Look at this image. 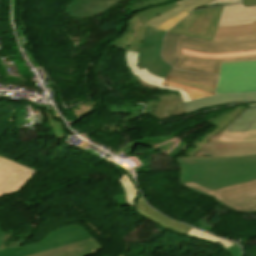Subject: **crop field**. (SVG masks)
Segmentation results:
<instances>
[{
  "instance_id": "25",
  "label": "crop field",
  "mask_w": 256,
  "mask_h": 256,
  "mask_svg": "<svg viewBox=\"0 0 256 256\" xmlns=\"http://www.w3.org/2000/svg\"><path fill=\"white\" fill-rule=\"evenodd\" d=\"M220 140L245 141L256 140V130L249 132H223Z\"/></svg>"
},
{
  "instance_id": "4",
  "label": "crop field",
  "mask_w": 256,
  "mask_h": 256,
  "mask_svg": "<svg viewBox=\"0 0 256 256\" xmlns=\"http://www.w3.org/2000/svg\"><path fill=\"white\" fill-rule=\"evenodd\" d=\"M256 92V61L222 63L217 94Z\"/></svg>"
},
{
  "instance_id": "8",
  "label": "crop field",
  "mask_w": 256,
  "mask_h": 256,
  "mask_svg": "<svg viewBox=\"0 0 256 256\" xmlns=\"http://www.w3.org/2000/svg\"><path fill=\"white\" fill-rule=\"evenodd\" d=\"M221 134L222 132L209 140L205 146L193 156H239L256 154V141H218Z\"/></svg>"
},
{
  "instance_id": "28",
  "label": "crop field",
  "mask_w": 256,
  "mask_h": 256,
  "mask_svg": "<svg viewBox=\"0 0 256 256\" xmlns=\"http://www.w3.org/2000/svg\"><path fill=\"white\" fill-rule=\"evenodd\" d=\"M213 0H181L175 2L177 5H179L181 8H183L187 12H191L196 10L197 8L211 2Z\"/></svg>"
},
{
  "instance_id": "19",
  "label": "crop field",
  "mask_w": 256,
  "mask_h": 256,
  "mask_svg": "<svg viewBox=\"0 0 256 256\" xmlns=\"http://www.w3.org/2000/svg\"><path fill=\"white\" fill-rule=\"evenodd\" d=\"M256 33V22L254 24L239 25L234 27H218L213 38L239 36Z\"/></svg>"
},
{
  "instance_id": "17",
  "label": "crop field",
  "mask_w": 256,
  "mask_h": 256,
  "mask_svg": "<svg viewBox=\"0 0 256 256\" xmlns=\"http://www.w3.org/2000/svg\"><path fill=\"white\" fill-rule=\"evenodd\" d=\"M179 37L180 35L168 32L165 37L163 51H162L163 59L174 67L180 59L176 54V47H177Z\"/></svg>"
},
{
  "instance_id": "40",
  "label": "crop field",
  "mask_w": 256,
  "mask_h": 256,
  "mask_svg": "<svg viewBox=\"0 0 256 256\" xmlns=\"http://www.w3.org/2000/svg\"><path fill=\"white\" fill-rule=\"evenodd\" d=\"M17 29V33H18V38L21 44V47H25L24 43L21 41V39L26 38L25 35L22 33L20 27H15ZM27 39V38H26Z\"/></svg>"
},
{
  "instance_id": "37",
  "label": "crop field",
  "mask_w": 256,
  "mask_h": 256,
  "mask_svg": "<svg viewBox=\"0 0 256 256\" xmlns=\"http://www.w3.org/2000/svg\"><path fill=\"white\" fill-rule=\"evenodd\" d=\"M141 71H142V73L144 74L145 77H147L148 79H150V80H152V81H155V82H157V83H159V84H161V82L164 80V79L157 78V77L151 75V74L148 73L145 69H142Z\"/></svg>"
},
{
  "instance_id": "36",
  "label": "crop field",
  "mask_w": 256,
  "mask_h": 256,
  "mask_svg": "<svg viewBox=\"0 0 256 256\" xmlns=\"http://www.w3.org/2000/svg\"><path fill=\"white\" fill-rule=\"evenodd\" d=\"M228 250L230 251L232 256H242L241 249L237 244L231 246L230 248H228Z\"/></svg>"
},
{
  "instance_id": "26",
  "label": "crop field",
  "mask_w": 256,
  "mask_h": 256,
  "mask_svg": "<svg viewBox=\"0 0 256 256\" xmlns=\"http://www.w3.org/2000/svg\"><path fill=\"white\" fill-rule=\"evenodd\" d=\"M166 81L174 82V83H177V84H181V85H184V86L196 88V89L214 94L215 87H213V86L200 84V83H196V82H191V81H187V80H183V79H178V78H174V77H170V76L166 77Z\"/></svg>"
},
{
  "instance_id": "16",
  "label": "crop field",
  "mask_w": 256,
  "mask_h": 256,
  "mask_svg": "<svg viewBox=\"0 0 256 256\" xmlns=\"http://www.w3.org/2000/svg\"><path fill=\"white\" fill-rule=\"evenodd\" d=\"M137 56H138V53H136V52L126 51V56H125L126 64H127L128 68H131V70L134 73V75H138L140 79H142L143 81H145L148 84L157 85V86H160V88H166V89H170V90L179 91L180 95L182 96L183 102L190 101V98L185 93V91L173 88L171 86L159 85V84H157L155 82H152V81L146 79L143 76V74L140 72L139 68H138Z\"/></svg>"
},
{
  "instance_id": "23",
  "label": "crop field",
  "mask_w": 256,
  "mask_h": 256,
  "mask_svg": "<svg viewBox=\"0 0 256 256\" xmlns=\"http://www.w3.org/2000/svg\"><path fill=\"white\" fill-rule=\"evenodd\" d=\"M174 1H176V0H141L139 2L133 3V4L128 5V6H125L122 9L123 10L130 9L134 13H136L140 10H144V9H148V8H152V7H156V6H160V5H164V4H168V3H171V2H174Z\"/></svg>"
},
{
  "instance_id": "12",
  "label": "crop field",
  "mask_w": 256,
  "mask_h": 256,
  "mask_svg": "<svg viewBox=\"0 0 256 256\" xmlns=\"http://www.w3.org/2000/svg\"><path fill=\"white\" fill-rule=\"evenodd\" d=\"M256 100L255 94H235V95H222V96H213L208 97L192 102L183 103L185 112L195 111L198 108H203L212 105L239 102V101H250Z\"/></svg>"
},
{
  "instance_id": "35",
  "label": "crop field",
  "mask_w": 256,
  "mask_h": 256,
  "mask_svg": "<svg viewBox=\"0 0 256 256\" xmlns=\"http://www.w3.org/2000/svg\"><path fill=\"white\" fill-rule=\"evenodd\" d=\"M143 107L144 106H142V108H139L138 110H134V111H129V109H126V108H124V109H112L110 111H112L114 114L115 113H120V114L132 113L133 116L127 117V118H123L122 120H118V121H128V120L136 119L135 117L140 114V112L142 111ZM118 121H116V122H118Z\"/></svg>"
},
{
  "instance_id": "44",
  "label": "crop field",
  "mask_w": 256,
  "mask_h": 256,
  "mask_svg": "<svg viewBox=\"0 0 256 256\" xmlns=\"http://www.w3.org/2000/svg\"><path fill=\"white\" fill-rule=\"evenodd\" d=\"M102 129H104V130H106V131H114V130H121V129H123V127L121 126V127H119V128H112V127H107V128H105V127H103Z\"/></svg>"
},
{
  "instance_id": "11",
  "label": "crop field",
  "mask_w": 256,
  "mask_h": 256,
  "mask_svg": "<svg viewBox=\"0 0 256 256\" xmlns=\"http://www.w3.org/2000/svg\"><path fill=\"white\" fill-rule=\"evenodd\" d=\"M256 21V6L244 7L243 3L225 6L218 26H234Z\"/></svg>"
},
{
  "instance_id": "33",
  "label": "crop field",
  "mask_w": 256,
  "mask_h": 256,
  "mask_svg": "<svg viewBox=\"0 0 256 256\" xmlns=\"http://www.w3.org/2000/svg\"><path fill=\"white\" fill-rule=\"evenodd\" d=\"M201 239H206L208 241H212V242H214V243H216V244H218V245H220V246H222L224 248H228L229 246L235 244V243L228 242V241H225L223 239H220V238H218L216 236H213L211 234H208L206 232L204 233V235H203V237Z\"/></svg>"
},
{
  "instance_id": "20",
  "label": "crop field",
  "mask_w": 256,
  "mask_h": 256,
  "mask_svg": "<svg viewBox=\"0 0 256 256\" xmlns=\"http://www.w3.org/2000/svg\"><path fill=\"white\" fill-rule=\"evenodd\" d=\"M139 26H141V23L136 17V15L132 16L128 23V28L126 32L111 46L127 49L130 43L135 39Z\"/></svg>"
},
{
  "instance_id": "13",
  "label": "crop field",
  "mask_w": 256,
  "mask_h": 256,
  "mask_svg": "<svg viewBox=\"0 0 256 256\" xmlns=\"http://www.w3.org/2000/svg\"><path fill=\"white\" fill-rule=\"evenodd\" d=\"M245 108H247V106L238 107V110H234L230 113L223 115L218 119L211 121L210 123L216 126L217 128L213 130L211 133H206L203 139H198L197 143L194 145V148L190 149L187 153H185V156H192L197 151H199L210 138H212L218 132L223 130L226 127V125H228L233 119H235L239 114H241Z\"/></svg>"
},
{
  "instance_id": "41",
  "label": "crop field",
  "mask_w": 256,
  "mask_h": 256,
  "mask_svg": "<svg viewBox=\"0 0 256 256\" xmlns=\"http://www.w3.org/2000/svg\"><path fill=\"white\" fill-rule=\"evenodd\" d=\"M28 58L30 59V61L34 64L35 67H38L35 56L33 54H29V52L27 50H25Z\"/></svg>"
},
{
  "instance_id": "43",
  "label": "crop field",
  "mask_w": 256,
  "mask_h": 256,
  "mask_svg": "<svg viewBox=\"0 0 256 256\" xmlns=\"http://www.w3.org/2000/svg\"><path fill=\"white\" fill-rule=\"evenodd\" d=\"M12 6H13V21L15 23V19H16V0H12Z\"/></svg>"
},
{
  "instance_id": "30",
  "label": "crop field",
  "mask_w": 256,
  "mask_h": 256,
  "mask_svg": "<svg viewBox=\"0 0 256 256\" xmlns=\"http://www.w3.org/2000/svg\"><path fill=\"white\" fill-rule=\"evenodd\" d=\"M46 113V112H45ZM47 117H48V123H49V126L52 127L53 131H54V135L63 140V137H64V132H63V129H62V126L60 123L56 122L55 120H53L52 116H50L49 114H47Z\"/></svg>"
},
{
  "instance_id": "45",
  "label": "crop field",
  "mask_w": 256,
  "mask_h": 256,
  "mask_svg": "<svg viewBox=\"0 0 256 256\" xmlns=\"http://www.w3.org/2000/svg\"><path fill=\"white\" fill-rule=\"evenodd\" d=\"M90 144H88L87 142H83V143H81L78 147H80V148H82L83 150L87 147V146H89Z\"/></svg>"
},
{
  "instance_id": "24",
  "label": "crop field",
  "mask_w": 256,
  "mask_h": 256,
  "mask_svg": "<svg viewBox=\"0 0 256 256\" xmlns=\"http://www.w3.org/2000/svg\"><path fill=\"white\" fill-rule=\"evenodd\" d=\"M175 6H177V5L175 3H173L170 5H166V6L149 9V10L138 13L137 17L139 18V20L141 21L142 24H145L149 20H151L153 17L170 10V9L174 8Z\"/></svg>"
},
{
  "instance_id": "9",
  "label": "crop field",
  "mask_w": 256,
  "mask_h": 256,
  "mask_svg": "<svg viewBox=\"0 0 256 256\" xmlns=\"http://www.w3.org/2000/svg\"><path fill=\"white\" fill-rule=\"evenodd\" d=\"M134 78L140 82L141 86L150 89L159 88L157 86L146 84L145 82L137 78V76H135ZM175 93L176 92L173 91L172 93H168L165 95H152L159 98V100L148 102L147 109L144 111L143 114H149L159 119H166L176 115L185 114L181 101V96L179 94L176 95Z\"/></svg>"
},
{
  "instance_id": "38",
  "label": "crop field",
  "mask_w": 256,
  "mask_h": 256,
  "mask_svg": "<svg viewBox=\"0 0 256 256\" xmlns=\"http://www.w3.org/2000/svg\"><path fill=\"white\" fill-rule=\"evenodd\" d=\"M238 2H240V0H215V1L207 4L206 6H208V5H216V4H223V3L233 4V3H238Z\"/></svg>"
},
{
  "instance_id": "32",
  "label": "crop field",
  "mask_w": 256,
  "mask_h": 256,
  "mask_svg": "<svg viewBox=\"0 0 256 256\" xmlns=\"http://www.w3.org/2000/svg\"><path fill=\"white\" fill-rule=\"evenodd\" d=\"M96 103L93 102L89 105H83V106H78L74 109H72V111L74 112L75 114V117L78 119L79 117L83 116L84 114L90 112L92 109H94L96 107Z\"/></svg>"
},
{
  "instance_id": "7",
  "label": "crop field",
  "mask_w": 256,
  "mask_h": 256,
  "mask_svg": "<svg viewBox=\"0 0 256 256\" xmlns=\"http://www.w3.org/2000/svg\"><path fill=\"white\" fill-rule=\"evenodd\" d=\"M222 8L216 7L196 11L185 17L170 31L211 41L217 28Z\"/></svg>"
},
{
  "instance_id": "14",
  "label": "crop field",
  "mask_w": 256,
  "mask_h": 256,
  "mask_svg": "<svg viewBox=\"0 0 256 256\" xmlns=\"http://www.w3.org/2000/svg\"><path fill=\"white\" fill-rule=\"evenodd\" d=\"M137 211L140 212L141 214H143L145 217L150 218V219L162 224L163 226H165L169 229H172V230H176L180 233L187 234L188 231L191 229V227H189V226L169 220V219L157 214L156 212L152 211L146 205L142 195L137 203Z\"/></svg>"
},
{
  "instance_id": "1",
  "label": "crop field",
  "mask_w": 256,
  "mask_h": 256,
  "mask_svg": "<svg viewBox=\"0 0 256 256\" xmlns=\"http://www.w3.org/2000/svg\"><path fill=\"white\" fill-rule=\"evenodd\" d=\"M177 54L181 59L175 68L219 75L221 62L256 60V35L212 42L181 36Z\"/></svg>"
},
{
  "instance_id": "22",
  "label": "crop field",
  "mask_w": 256,
  "mask_h": 256,
  "mask_svg": "<svg viewBox=\"0 0 256 256\" xmlns=\"http://www.w3.org/2000/svg\"><path fill=\"white\" fill-rule=\"evenodd\" d=\"M112 166L116 167L112 164ZM123 175L122 178L119 179V182L125 192V196L127 197L128 204L133 207V199L136 194H139L136 190L135 186L131 183L130 179L128 178L127 174L124 173L120 168L116 167Z\"/></svg>"
},
{
  "instance_id": "42",
  "label": "crop field",
  "mask_w": 256,
  "mask_h": 256,
  "mask_svg": "<svg viewBox=\"0 0 256 256\" xmlns=\"http://www.w3.org/2000/svg\"><path fill=\"white\" fill-rule=\"evenodd\" d=\"M245 6L256 5V0H242Z\"/></svg>"
},
{
  "instance_id": "10",
  "label": "crop field",
  "mask_w": 256,
  "mask_h": 256,
  "mask_svg": "<svg viewBox=\"0 0 256 256\" xmlns=\"http://www.w3.org/2000/svg\"><path fill=\"white\" fill-rule=\"evenodd\" d=\"M120 0H73L65 9L71 18H91L110 8Z\"/></svg>"
},
{
  "instance_id": "5",
  "label": "crop field",
  "mask_w": 256,
  "mask_h": 256,
  "mask_svg": "<svg viewBox=\"0 0 256 256\" xmlns=\"http://www.w3.org/2000/svg\"><path fill=\"white\" fill-rule=\"evenodd\" d=\"M188 188L214 197L217 202L241 213L256 212V180L241 185L209 191L194 183L182 184Z\"/></svg>"
},
{
  "instance_id": "3",
  "label": "crop field",
  "mask_w": 256,
  "mask_h": 256,
  "mask_svg": "<svg viewBox=\"0 0 256 256\" xmlns=\"http://www.w3.org/2000/svg\"><path fill=\"white\" fill-rule=\"evenodd\" d=\"M181 183L194 182L210 190L256 179V155L239 157H182Z\"/></svg>"
},
{
  "instance_id": "31",
  "label": "crop field",
  "mask_w": 256,
  "mask_h": 256,
  "mask_svg": "<svg viewBox=\"0 0 256 256\" xmlns=\"http://www.w3.org/2000/svg\"><path fill=\"white\" fill-rule=\"evenodd\" d=\"M146 29H147L146 25L139 27V33H138L136 39L131 43V45L129 46V48L127 50L135 51L141 45L142 40L146 33Z\"/></svg>"
},
{
  "instance_id": "15",
  "label": "crop field",
  "mask_w": 256,
  "mask_h": 256,
  "mask_svg": "<svg viewBox=\"0 0 256 256\" xmlns=\"http://www.w3.org/2000/svg\"><path fill=\"white\" fill-rule=\"evenodd\" d=\"M100 250H102L100 245L94 239H92L72 247L39 256H87Z\"/></svg>"
},
{
  "instance_id": "6",
  "label": "crop field",
  "mask_w": 256,
  "mask_h": 256,
  "mask_svg": "<svg viewBox=\"0 0 256 256\" xmlns=\"http://www.w3.org/2000/svg\"><path fill=\"white\" fill-rule=\"evenodd\" d=\"M165 33L148 26L143 44L136 50L139 52V68H145L148 72L162 78H165L172 69L160 56Z\"/></svg>"
},
{
  "instance_id": "18",
  "label": "crop field",
  "mask_w": 256,
  "mask_h": 256,
  "mask_svg": "<svg viewBox=\"0 0 256 256\" xmlns=\"http://www.w3.org/2000/svg\"><path fill=\"white\" fill-rule=\"evenodd\" d=\"M255 118L256 105H253L229 124L225 131H246Z\"/></svg>"
},
{
  "instance_id": "29",
  "label": "crop field",
  "mask_w": 256,
  "mask_h": 256,
  "mask_svg": "<svg viewBox=\"0 0 256 256\" xmlns=\"http://www.w3.org/2000/svg\"><path fill=\"white\" fill-rule=\"evenodd\" d=\"M162 84L171 85L173 87H177V88H181V89L185 90L187 92V94L191 97L192 100L212 95V94H208V93L196 90V89L184 87V86L173 84V83L166 82V81H163Z\"/></svg>"
},
{
  "instance_id": "27",
  "label": "crop field",
  "mask_w": 256,
  "mask_h": 256,
  "mask_svg": "<svg viewBox=\"0 0 256 256\" xmlns=\"http://www.w3.org/2000/svg\"><path fill=\"white\" fill-rule=\"evenodd\" d=\"M184 10H182L179 6L152 19L151 21H149L146 25L152 26V27H159L162 23L166 22L168 19L174 17L175 15H177L178 13L182 12Z\"/></svg>"
},
{
  "instance_id": "2",
  "label": "crop field",
  "mask_w": 256,
  "mask_h": 256,
  "mask_svg": "<svg viewBox=\"0 0 256 256\" xmlns=\"http://www.w3.org/2000/svg\"><path fill=\"white\" fill-rule=\"evenodd\" d=\"M36 169L0 156V197L20 191L34 177ZM4 232L0 226V245ZM82 226L70 225L53 230L42 241L18 248L0 249V256H35L92 239Z\"/></svg>"
},
{
  "instance_id": "39",
  "label": "crop field",
  "mask_w": 256,
  "mask_h": 256,
  "mask_svg": "<svg viewBox=\"0 0 256 256\" xmlns=\"http://www.w3.org/2000/svg\"><path fill=\"white\" fill-rule=\"evenodd\" d=\"M202 234H203V231H200V230H197V229H194V228H192L190 230V232L188 233V235L196 236V237H199V238H201Z\"/></svg>"
},
{
  "instance_id": "46",
  "label": "crop field",
  "mask_w": 256,
  "mask_h": 256,
  "mask_svg": "<svg viewBox=\"0 0 256 256\" xmlns=\"http://www.w3.org/2000/svg\"><path fill=\"white\" fill-rule=\"evenodd\" d=\"M254 129H256V119H255V121L252 123V125L249 127V129L247 131L254 130Z\"/></svg>"
},
{
  "instance_id": "21",
  "label": "crop field",
  "mask_w": 256,
  "mask_h": 256,
  "mask_svg": "<svg viewBox=\"0 0 256 256\" xmlns=\"http://www.w3.org/2000/svg\"><path fill=\"white\" fill-rule=\"evenodd\" d=\"M170 76L178 77V78H183L187 80H192L200 83H205L209 85H216L218 76H212L208 74H199V73H191V72H185V71H180L177 69H172V71L169 73Z\"/></svg>"
},
{
  "instance_id": "34",
  "label": "crop field",
  "mask_w": 256,
  "mask_h": 256,
  "mask_svg": "<svg viewBox=\"0 0 256 256\" xmlns=\"http://www.w3.org/2000/svg\"><path fill=\"white\" fill-rule=\"evenodd\" d=\"M188 13L185 11L177 15L176 17L170 19L166 23L162 24L158 29L168 31L171 27H173L177 22L183 19Z\"/></svg>"
}]
</instances>
